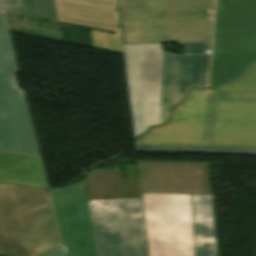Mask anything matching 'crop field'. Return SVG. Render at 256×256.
<instances>
[{"instance_id":"1","label":"crop field","mask_w":256,"mask_h":256,"mask_svg":"<svg viewBox=\"0 0 256 256\" xmlns=\"http://www.w3.org/2000/svg\"><path fill=\"white\" fill-rule=\"evenodd\" d=\"M135 137L169 120L190 87L207 88L215 0H117ZM174 42L185 55L162 49Z\"/></svg>"},{"instance_id":"2","label":"crop field","mask_w":256,"mask_h":256,"mask_svg":"<svg viewBox=\"0 0 256 256\" xmlns=\"http://www.w3.org/2000/svg\"><path fill=\"white\" fill-rule=\"evenodd\" d=\"M97 170L87 180L51 190L66 256H147L142 200L135 168Z\"/></svg>"},{"instance_id":"3","label":"crop field","mask_w":256,"mask_h":256,"mask_svg":"<svg viewBox=\"0 0 256 256\" xmlns=\"http://www.w3.org/2000/svg\"><path fill=\"white\" fill-rule=\"evenodd\" d=\"M135 142L136 151L256 154V104L206 103V90L192 89L172 121Z\"/></svg>"},{"instance_id":"4","label":"crop field","mask_w":256,"mask_h":256,"mask_svg":"<svg viewBox=\"0 0 256 256\" xmlns=\"http://www.w3.org/2000/svg\"><path fill=\"white\" fill-rule=\"evenodd\" d=\"M46 191L0 183V253L37 256L60 246Z\"/></svg>"},{"instance_id":"5","label":"crop field","mask_w":256,"mask_h":256,"mask_svg":"<svg viewBox=\"0 0 256 256\" xmlns=\"http://www.w3.org/2000/svg\"><path fill=\"white\" fill-rule=\"evenodd\" d=\"M256 61V0H217L209 88L228 84Z\"/></svg>"},{"instance_id":"6","label":"crop field","mask_w":256,"mask_h":256,"mask_svg":"<svg viewBox=\"0 0 256 256\" xmlns=\"http://www.w3.org/2000/svg\"><path fill=\"white\" fill-rule=\"evenodd\" d=\"M18 71L6 18L0 15V151L41 158Z\"/></svg>"},{"instance_id":"7","label":"crop field","mask_w":256,"mask_h":256,"mask_svg":"<svg viewBox=\"0 0 256 256\" xmlns=\"http://www.w3.org/2000/svg\"><path fill=\"white\" fill-rule=\"evenodd\" d=\"M141 195L148 256H193L189 195Z\"/></svg>"},{"instance_id":"8","label":"crop field","mask_w":256,"mask_h":256,"mask_svg":"<svg viewBox=\"0 0 256 256\" xmlns=\"http://www.w3.org/2000/svg\"><path fill=\"white\" fill-rule=\"evenodd\" d=\"M137 163L141 192L211 194L207 163Z\"/></svg>"},{"instance_id":"9","label":"crop field","mask_w":256,"mask_h":256,"mask_svg":"<svg viewBox=\"0 0 256 256\" xmlns=\"http://www.w3.org/2000/svg\"><path fill=\"white\" fill-rule=\"evenodd\" d=\"M59 21L116 31H93V48L123 54L115 0H56Z\"/></svg>"},{"instance_id":"10","label":"crop field","mask_w":256,"mask_h":256,"mask_svg":"<svg viewBox=\"0 0 256 256\" xmlns=\"http://www.w3.org/2000/svg\"><path fill=\"white\" fill-rule=\"evenodd\" d=\"M196 256H217L211 195H191Z\"/></svg>"},{"instance_id":"11","label":"crop field","mask_w":256,"mask_h":256,"mask_svg":"<svg viewBox=\"0 0 256 256\" xmlns=\"http://www.w3.org/2000/svg\"><path fill=\"white\" fill-rule=\"evenodd\" d=\"M0 181L46 187L39 159L1 152Z\"/></svg>"},{"instance_id":"12","label":"crop field","mask_w":256,"mask_h":256,"mask_svg":"<svg viewBox=\"0 0 256 256\" xmlns=\"http://www.w3.org/2000/svg\"><path fill=\"white\" fill-rule=\"evenodd\" d=\"M207 102L256 103V72L244 74L234 83L207 92Z\"/></svg>"},{"instance_id":"13","label":"crop field","mask_w":256,"mask_h":256,"mask_svg":"<svg viewBox=\"0 0 256 256\" xmlns=\"http://www.w3.org/2000/svg\"><path fill=\"white\" fill-rule=\"evenodd\" d=\"M23 8L6 9V12L57 22L54 0H22Z\"/></svg>"},{"instance_id":"14","label":"crop field","mask_w":256,"mask_h":256,"mask_svg":"<svg viewBox=\"0 0 256 256\" xmlns=\"http://www.w3.org/2000/svg\"><path fill=\"white\" fill-rule=\"evenodd\" d=\"M22 7L21 0H0V14H5L4 8Z\"/></svg>"},{"instance_id":"15","label":"crop field","mask_w":256,"mask_h":256,"mask_svg":"<svg viewBox=\"0 0 256 256\" xmlns=\"http://www.w3.org/2000/svg\"><path fill=\"white\" fill-rule=\"evenodd\" d=\"M40 256H63L62 247L60 246V247H58V248H56L54 250H51V251H49L47 253H44V254H42Z\"/></svg>"},{"instance_id":"16","label":"crop field","mask_w":256,"mask_h":256,"mask_svg":"<svg viewBox=\"0 0 256 256\" xmlns=\"http://www.w3.org/2000/svg\"><path fill=\"white\" fill-rule=\"evenodd\" d=\"M251 71H256V64H254L247 72H251Z\"/></svg>"}]
</instances>
